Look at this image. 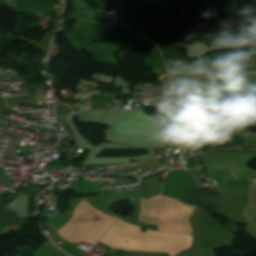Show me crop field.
I'll use <instances>...</instances> for the list:
<instances>
[{"instance_id": "obj_1", "label": "crop field", "mask_w": 256, "mask_h": 256, "mask_svg": "<svg viewBox=\"0 0 256 256\" xmlns=\"http://www.w3.org/2000/svg\"><path fill=\"white\" fill-rule=\"evenodd\" d=\"M219 198L220 193L216 189L187 187L181 201L216 209L219 204Z\"/></svg>"}, {"instance_id": "obj_2", "label": "crop field", "mask_w": 256, "mask_h": 256, "mask_svg": "<svg viewBox=\"0 0 256 256\" xmlns=\"http://www.w3.org/2000/svg\"><path fill=\"white\" fill-rule=\"evenodd\" d=\"M145 154H148L147 149H105L99 152L96 157L140 156Z\"/></svg>"}, {"instance_id": "obj_3", "label": "crop field", "mask_w": 256, "mask_h": 256, "mask_svg": "<svg viewBox=\"0 0 256 256\" xmlns=\"http://www.w3.org/2000/svg\"><path fill=\"white\" fill-rule=\"evenodd\" d=\"M202 116L226 112L222 104L213 99L198 106Z\"/></svg>"}, {"instance_id": "obj_4", "label": "crop field", "mask_w": 256, "mask_h": 256, "mask_svg": "<svg viewBox=\"0 0 256 256\" xmlns=\"http://www.w3.org/2000/svg\"><path fill=\"white\" fill-rule=\"evenodd\" d=\"M234 89L256 99V89L248 86V85H245L239 81L236 82L235 86H234Z\"/></svg>"}, {"instance_id": "obj_5", "label": "crop field", "mask_w": 256, "mask_h": 256, "mask_svg": "<svg viewBox=\"0 0 256 256\" xmlns=\"http://www.w3.org/2000/svg\"><path fill=\"white\" fill-rule=\"evenodd\" d=\"M146 37L151 39L157 46L161 45V44H175V45H177L173 40H167L161 34H153V33L147 32Z\"/></svg>"}, {"instance_id": "obj_6", "label": "crop field", "mask_w": 256, "mask_h": 256, "mask_svg": "<svg viewBox=\"0 0 256 256\" xmlns=\"http://www.w3.org/2000/svg\"><path fill=\"white\" fill-rule=\"evenodd\" d=\"M2 1H4V2H9V1H7V0H2ZM2 1H0V3H2Z\"/></svg>"}]
</instances>
